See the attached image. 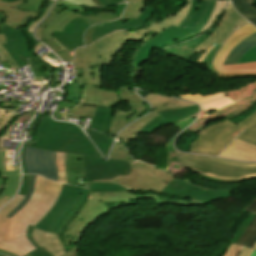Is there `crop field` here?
<instances>
[{
	"label": "crop field",
	"mask_w": 256,
	"mask_h": 256,
	"mask_svg": "<svg viewBox=\"0 0 256 256\" xmlns=\"http://www.w3.org/2000/svg\"><path fill=\"white\" fill-rule=\"evenodd\" d=\"M28 255L30 256H52L47 250H45L43 247L38 248L32 252H30Z\"/></svg>",
	"instance_id": "obj_51"
},
{
	"label": "crop field",
	"mask_w": 256,
	"mask_h": 256,
	"mask_svg": "<svg viewBox=\"0 0 256 256\" xmlns=\"http://www.w3.org/2000/svg\"><path fill=\"white\" fill-rule=\"evenodd\" d=\"M71 2H75L78 4H83V5H87V6H91V7H97L96 5H94L91 0H69Z\"/></svg>",
	"instance_id": "obj_54"
},
{
	"label": "crop field",
	"mask_w": 256,
	"mask_h": 256,
	"mask_svg": "<svg viewBox=\"0 0 256 256\" xmlns=\"http://www.w3.org/2000/svg\"><path fill=\"white\" fill-rule=\"evenodd\" d=\"M67 182L77 185L78 177H85L82 155L66 153Z\"/></svg>",
	"instance_id": "obj_26"
},
{
	"label": "crop field",
	"mask_w": 256,
	"mask_h": 256,
	"mask_svg": "<svg viewBox=\"0 0 256 256\" xmlns=\"http://www.w3.org/2000/svg\"><path fill=\"white\" fill-rule=\"evenodd\" d=\"M83 81L86 85L102 87L101 67L84 70Z\"/></svg>",
	"instance_id": "obj_35"
},
{
	"label": "crop field",
	"mask_w": 256,
	"mask_h": 256,
	"mask_svg": "<svg viewBox=\"0 0 256 256\" xmlns=\"http://www.w3.org/2000/svg\"><path fill=\"white\" fill-rule=\"evenodd\" d=\"M45 236L59 255L66 252L58 235L46 231Z\"/></svg>",
	"instance_id": "obj_41"
},
{
	"label": "crop field",
	"mask_w": 256,
	"mask_h": 256,
	"mask_svg": "<svg viewBox=\"0 0 256 256\" xmlns=\"http://www.w3.org/2000/svg\"><path fill=\"white\" fill-rule=\"evenodd\" d=\"M103 6L125 2L123 0H99Z\"/></svg>",
	"instance_id": "obj_55"
},
{
	"label": "crop field",
	"mask_w": 256,
	"mask_h": 256,
	"mask_svg": "<svg viewBox=\"0 0 256 256\" xmlns=\"http://www.w3.org/2000/svg\"><path fill=\"white\" fill-rule=\"evenodd\" d=\"M126 157H130L126 149L121 144H114L110 154V158L125 160L124 158Z\"/></svg>",
	"instance_id": "obj_42"
},
{
	"label": "crop field",
	"mask_w": 256,
	"mask_h": 256,
	"mask_svg": "<svg viewBox=\"0 0 256 256\" xmlns=\"http://www.w3.org/2000/svg\"><path fill=\"white\" fill-rule=\"evenodd\" d=\"M141 198L158 200V195L152 193L137 195L129 191L91 193L77 215L69 223L63 235L60 236L66 250L70 249L71 256H77L76 248L83 232L96 219L111 214V209L135 205V201Z\"/></svg>",
	"instance_id": "obj_4"
},
{
	"label": "crop field",
	"mask_w": 256,
	"mask_h": 256,
	"mask_svg": "<svg viewBox=\"0 0 256 256\" xmlns=\"http://www.w3.org/2000/svg\"><path fill=\"white\" fill-rule=\"evenodd\" d=\"M199 111L198 105L159 112L139 133H153L157 128L180 121Z\"/></svg>",
	"instance_id": "obj_21"
},
{
	"label": "crop field",
	"mask_w": 256,
	"mask_h": 256,
	"mask_svg": "<svg viewBox=\"0 0 256 256\" xmlns=\"http://www.w3.org/2000/svg\"><path fill=\"white\" fill-rule=\"evenodd\" d=\"M85 131L88 133V135L95 142L97 147L100 149V151L103 153L104 157L106 158L107 151L113 140L110 137H107L105 135H102L98 132H95L89 129H85Z\"/></svg>",
	"instance_id": "obj_34"
},
{
	"label": "crop field",
	"mask_w": 256,
	"mask_h": 256,
	"mask_svg": "<svg viewBox=\"0 0 256 256\" xmlns=\"http://www.w3.org/2000/svg\"><path fill=\"white\" fill-rule=\"evenodd\" d=\"M23 0L13 2V3H3L0 2V10L3 11L7 18L4 21L8 26L15 28L16 30H19L18 27L22 26L28 18L31 16H36L38 13L35 12H24L20 11L18 9L12 8L10 6L22 3Z\"/></svg>",
	"instance_id": "obj_25"
},
{
	"label": "crop field",
	"mask_w": 256,
	"mask_h": 256,
	"mask_svg": "<svg viewBox=\"0 0 256 256\" xmlns=\"http://www.w3.org/2000/svg\"><path fill=\"white\" fill-rule=\"evenodd\" d=\"M86 181L93 182L100 179H113L117 175H127L131 166L127 161L110 159L102 161L101 158L83 155Z\"/></svg>",
	"instance_id": "obj_11"
},
{
	"label": "crop field",
	"mask_w": 256,
	"mask_h": 256,
	"mask_svg": "<svg viewBox=\"0 0 256 256\" xmlns=\"http://www.w3.org/2000/svg\"><path fill=\"white\" fill-rule=\"evenodd\" d=\"M240 249H241V246L231 244V246L229 247V249L227 250L224 256H236V254Z\"/></svg>",
	"instance_id": "obj_52"
},
{
	"label": "crop field",
	"mask_w": 256,
	"mask_h": 256,
	"mask_svg": "<svg viewBox=\"0 0 256 256\" xmlns=\"http://www.w3.org/2000/svg\"><path fill=\"white\" fill-rule=\"evenodd\" d=\"M131 166L132 172L128 176H118L113 180H100V182H115L130 190L154 191L174 197L191 198V201H178L159 196L160 205H202L232 196L230 191L201 190V187L174 178L155 167L136 160Z\"/></svg>",
	"instance_id": "obj_2"
},
{
	"label": "crop field",
	"mask_w": 256,
	"mask_h": 256,
	"mask_svg": "<svg viewBox=\"0 0 256 256\" xmlns=\"http://www.w3.org/2000/svg\"><path fill=\"white\" fill-rule=\"evenodd\" d=\"M255 45L256 33L238 44L226 58L224 64H235L244 53L255 47Z\"/></svg>",
	"instance_id": "obj_30"
},
{
	"label": "crop field",
	"mask_w": 256,
	"mask_h": 256,
	"mask_svg": "<svg viewBox=\"0 0 256 256\" xmlns=\"http://www.w3.org/2000/svg\"><path fill=\"white\" fill-rule=\"evenodd\" d=\"M255 217L254 214H249V216L246 218V220L243 222V224L240 226V228L237 230L235 235L233 236L231 243H235L238 241V239L241 237L245 229L248 227L252 219Z\"/></svg>",
	"instance_id": "obj_45"
},
{
	"label": "crop field",
	"mask_w": 256,
	"mask_h": 256,
	"mask_svg": "<svg viewBox=\"0 0 256 256\" xmlns=\"http://www.w3.org/2000/svg\"><path fill=\"white\" fill-rule=\"evenodd\" d=\"M15 114L5 110L0 109V131L10 122V119L14 117Z\"/></svg>",
	"instance_id": "obj_46"
},
{
	"label": "crop field",
	"mask_w": 256,
	"mask_h": 256,
	"mask_svg": "<svg viewBox=\"0 0 256 256\" xmlns=\"http://www.w3.org/2000/svg\"><path fill=\"white\" fill-rule=\"evenodd\" d=\"M56 6L67 8V9L77 11V12H80L83 14L87 13V11L82 6L76 5L74 3H71V2H68L65 0H58L56 3Z\"/></svg>",
	"instance_id": "obj_44"
},
{
	"label": "crop field",
	"mask_w": 256,
	"mask_h": 256,
	"mask_svg": "<svg viewBox=\"0 0 256 256\" xmlns=\"http://www.w3.org/2000/svg\"><path fill=\"white\" fill-rule=\"evenodd\" d=\"M35 176H36V175H31V177H30V185H29V188H28V191H27V194H26V197L24 198V200H23L14 210H12V211L7 215V217L12 218V216H13L15 213H17V212L27 203V201H28L29 198L31 197L32 192H33V189H34Z\"/></svg>",
	"instance_id": "obj_40"
},
{
	"label": "crop field",
	"mask_w": 256,
	"mask_h": 256,
	"mask_svg": "<svg viewBox=\"0 0 256 256\" xmlns=\"http://www.w3.org/2000/svg\"><path fill=\"white\" fill-rule=\"evenodd\" d=\"M23 157L27 174H40L58 181L56 152L25 147Z\"/></svg>",
	"instance_id": "obj_15"
},
{
	"label": "crop field",
	"mask_w": 256,
	"mask_h": 256,
	"mask_svg": "<svg viewBox=\"0 0 256 256\" xmlns=\"http://www.w3.org/2000/svg\"><path fill=\"white\" fill-rule=\"evenodd\" d=\"M37 231H38V228L35 227L32 231V237L35 240V242L38 244V246L41 247L43 246V244L38 240Z\"/></svg>",
	"instance_id": "obj_56"
},
{
	"label": "crop field",
	"mask_w": 256,
	"mask_h": 256,
	"mask_svg": "<svg viewBox=\"0 0 256 256\" xmlns=\"http://www.w3.org/2000/svg\"><path fill=\"white\" fill-rule=\"evenodd\" d=\"M47 0H25L24 3L13 6L20 10L39 12L40 6Z\"/></svg>",
	"instance_id": "obj_39"
},
{
	"label": "crop field",
	"mask_w": 256,
	"mask_h": 256,
	"mask_svg": "<svg viewBox=\"0 0 256 256\" xmlns=\"http://www.w3.org/2000/svg\"><path fill=\"white\" fill-rule=\"evenodd\" d=\"M129 5L125 10L124 15L121 17V21L124 23L131 16L137 18V16L144 10L147 0H126ZM134 2V4H132Z\"/></svg>",
	"instance_id": "obj_33"
},
{
	"label": "crop field",
	"mask_w": 256,
	"mask_h": 256,
	"mask_svg": "<svg viewBox=\"0 0 256 256\" xmlns=\"http://www.w3.org/2000/svg\"><path fill=\"white\" fill-rule=\"evenodd\" d=\"M251 256H256V251H253Z\"/></svg>",
	"instance_id": "obj_68"
},
{
	"label": "crop field",
	"mask_w": 256,
	"mask_h": 256,
	"mask_svg": "<svg viewBox=\"0 0 256 256\" xmlns=\"http://www.w3.org/2000/svg\"><path fill=\"white\" fill-rule=\"evenodd\" d=\"M101 24H103V23H101ZM98 25H99V24H97V25H95V26H93V27L87 29V31H86V33H85V46H88V45L91 44V42H90L91 34H92L93 30L95 29V27L98 26Z\"/></svg>",
	"instance_id": "obj_53"
},
{
	"label": "crop field",
	"mask_w": 256,
	"mask_h": 256,
	"mask_svg": "<svg viewBox=\"0 0 256 256\" xmlns=\"http://www.w3.org/2000/svg\"><path fill=\"white\" fill-rule=\"evenodd\" d=\"M221 46L218 44H211L204 52L199 56L197 62H207L209 71L212 70V60L215 56V53Z\"/></svg>",
	"instance_id": "obj_37"
},
{
	"label": "crop field",
	"mask_w": 256,
	"mask_h": 256,
	"mask_svg": "<svg viewBox=\"0 0 256 256\" xmlns=\"http://www.w3.org/2000/svg\"><path fill=\"white\" fill-rule=\"evenodd\" d=\"M0 1H4V2H13V1H17V0H0Z\"/></svg>",
	"instance_id": "obj_67"
},
{
	"label": "crop field",
	"mask_w": 256,
	"mask_h": 256,
	"mask_svg": "<svg viewBox=\"0 0 256 256\" xmlns=\"http://www.w3.org/2000/svg\"><path fill=\"white\" fill-rule=\"evenodd\" d=\"M90 194L89 190L84 189L83 193L81 194L78 201L75 203L73 208L69 211V213L64 217V219L60 222L58 227L56 228L55 232L56 234H62L64 231V228L68 225V223L73 219V217L76 215L78 210L80 209L81 205L85 201V199Z\"/></svg>",
	"instance_id": "obj_32"
},
{
	"label": "crop field",
	"mask_w": 256,
	"mask_h": 256,
	"mask_svg": "<svg viewBox=\"0 0 256 256\" xmlns=\"http://www.w3.org/2000/svg\"><path fill=\"white\" fill-rule=\"evenodd\" d=\"M224 13L225 15L222 16L215 31L213 30L214 32L211 34V36L205 42L195 48V50L203 52L213 42L222 45L235 30V27L240 28L244 24L248 23L234 10L231 4H228Z\"/></svg>",
	"instance_id": "obj_18"
},
{
	"label": "crop field",
	"mask_w": 256,
	"mask_h": 256,
	"mask_svg": "<svg viewBox=\"0 0 256 256\" xmlns=\"http://www.w3.org/2000/svg\"><path fill=\"white\" fill-rule=\"evenodd\" d=\"M220 156L237 160L256 161V147L234 139Z\"/></svg>",
	"instance_id": "obj_24"
},
{
	"label": "crop field",
	"mask_w": 256,
	"mask_h": 256,
	"mask_svg": "<svg viewBox=\"0 0 256 256\" xmlns=\"http://www.w3.org/2000/svg\"><path fill=\"white\" fill-rule=\"evenodd\" d=\"M118 94L121 100H126L130 110L116 109L113 116V122L110 127L109 135L116 136V133L128 123L140 117L147 110L144 100L139 98L133 89L127 86L118 87Z\"/></svg>",
	"instance_id": "obj_13"
},
{
	"label": "crop field",
	"mask_w": 256,
	"mask_h": 256,
	"mask_svg": "<svg viewBox=\"0 0 256 256\" xmlns=\"http://www.w3.org/2000/svg\"><path fill=\"white\" fill-rule=\"evenodd\" d=\"M34 114L29 113L26 115H23L19 117L1 136H0V176L2 178H5L6 185L3 190V193L0 195V199L3 198L4 196H8L11 198L18 186V181H19V176H20V170H19V165L12 167V162L11 158H7L8 156V150L3 151L1 150V144L3 142V139L6 137L7 134L10 133V130L17 124L19 121L23 122L24 120L30 121V119L33 117ZM20 143L18 144L17 148V154H16V160L18 156V150ZM18 164V161H17Z\"/></svg>",
	"instance_id": "obj_14"
},
{
	"label": "crop field",
	"mask_w": 256,
	"mask_h": 256,
	"mask_svg": "<svg viewBox=\"0 0 256 256\" xmlns=\"http://www.w3.org/2000/svg\"><path fill=\"white\" fill-rule=\"evenodd\" d=\"M113 112L114 109L79 105L71 117L77 119H79V116L94 117L91 127L107 134L112 122Z\"/></svg>",
	"instance_id": "obj_20"
},
{
	"label": "crop field",
	"mask_w": 256,
	"mask_h": 256,
	"mask_svg": "<svg viewBox=\"0 0 256 256\" xmlns=\"http://www.w3.org/2000/svg\"><path fill=\"white\" fill-rule=\"evenodd\" d=\"M176 155L178 161L186 168L208 177L228 180L256 177V163L235 162L177 152Z\"/></svg>",
	"instance_id": "obj_6"
},
{
	"label": "crop field",
	"mask_w": 256,
	"mask_h": 256,
	"mask_svg": "<svg viewBox=\"0 0 256 256\" xmlns=\"http://www.w3.org/2000/svg\"><path fill=\"white\" fill-rule=\"evenodd\" d=\"M256 32V28L247 24L238 29L232 36H230L219 51L214 61V72L218 78L238 77V76H256V62L242 63L237 65H224L223 61L230 53V51L242 40L249 37Z\"/></svg>",
	"instance_id": "obj_8"
},
{
	"label": "crop field",
	"mask_w": 256,
	"mask_h": 256,
	"mask_svg": "<svg viewBox=\"0 0 256 256\" xmlns=\"http://www.w3.org/2000/svg\"><path fill=\"white\" fill-rule=\"evenodd\" d=\"M8 200H10L7 196L0 200V207H2Z\"/></svg>",
	"instance_id": "obj_60"
},
{
	"label": "crop field",
	"mask_w": 256,
	"mask_h": 256,
	"mask_svg": "<svg viewBox=\"0 0 256 256\" xmlns=\"http://www.w3.org/2000/svg\"><path fill=\"white\" fill-rule=\"evenodd\" d=\"M0 43H6L4 35H0ZM0 49H1L2 53H3V55L5 56V58H6L7 62H8V64H9L10 68L11 69H13L15 67L18 68L16 63L11 59V57L8 55V53L5 51V49L2 47L1 44H0Z\"/></svg>",
	"instance_id": "obj_47"
},
{
	"label": "crop field",
	"mask_w": 256,
	"mask_h": 256,
	"mask_svg": "<svg viewBox=\"0 0 256 256\" xmlns=\"http://www.w3.org/2000/svg\"><path fill=\"white\" fill-rule=\"evenodd\" d=\"M82 191L83 188L64 184L57 202L36 227L53 232L77 201Z\"/></svg>",
	"instance_id": "obj_12"
},
{
	"label": "crop field",
	"mask_w": 256,
	"mask_h": 256,
	"mask_svg": "<svg viewBox=\"0 0 256 256\" xmlns=\"http://www.w3.org/2000/svg\"><path fill=\"white\" fill-rule=\"evenodd\" d=\"M248 212L256 214V198L246 207ZM256 242V217L251 222L247 230L244 232L237 245L246 246L252 248Z\"/></svg>",
	"instance_id": "obj_29"
},
{
	"label": "crop field",
	"mask_w": 256,
	"mask_h": 256,
	"mask_svg": "<svg viewBox=\"0 0 256 256\" xmlns=\"http://www.w3.org/2000/svg\"><path fill=\"white\" fill-rule=\"evenodd\" d=\"M42 57H48V58L54 60L56 63H61L51 52Z\"/></svg>",
	"instance_id": "obj_59"
},
{
	"label": "crop field",
	"mask_w": 256,
	"mask_h": 256,
	"mask_svg": "<svg viewBox=\"0 0 256 256\" xmlns=\"http://www.w3.org/2000/svg\"><path fill=\"white\" fill-rule=\"evenodd\" d=\"M0 256H5V255H1V254H0Z\"/></svg>",
	"instance_id": "obj_70"
},
{
	"label": "crop field",
	"mask_w": 256,
	"mask_h": 256,
	"mask_svg": "<svg viewBox=\"0 0 256 256\" xmlns=\"http://www.w3.org/2000/svg\"><path fill=\"white\" fill-rule=\"evenodd\" d=\"M237 11L256 26V10L252 7V0H231ZM250 16V17H248Z\"/></svg>",
	"instance_id": "obj_31"
},
{
	"label": "crop field",
	"mask_w": 256,
	"mask_h": 256,
	"mask_svg": "<svg viewBox=\"0 0 256 256\" xmlns=\"http://www.w3.org/2000/svg\"><path fill=\"white\" fill-rule=\"evenodd\" d=\"M82 15L83 14L73 12L67 9L54 7L49 16L41 23V25L36 30L37 37L45 42L47 45H49L64 61L71 62V65L73 58L70 57L67 49H65L53 39L51 30L62 31L64 25L67 22L75 17H79Z\"/></svg>",
	"instance_id": "obj_10"
},
{
	"label": "crop field",
	"mask_w": 256,
	"mask_h": 256,
	"mask_svg": "<svg viewBox=\"0 0 256 256\" xmlns=\"http://www.w3.org/2000/svg\"><path fill=\"white\" fill-rule=\"evenodd\" d=\"M90 190L92 192H107V191H125L128 189L114 183L95 182V183H92Z\"/></svg>",
	"instance_id": "obj_36"
},
{
	"label": "crop field",
	"mask_w": 256,
	"mask_h": 256,
	"mask_svg": "<svg viewBox=\"0 0 256 256\" xmlns=\"http://www.w3.org/2000/svg\"><path fill=\"white\" fill-rule=\"evenodd\" d=\"M120 102L117 92L84 85L80 104L112 107Z\"/></svg>",
	"instance_id": "obj_22"
},
{
	"label": "crop field",
	"mask_w": 256,
	"mask_h": 256,
	"mask_svg": "<svg viewBox=\"0 0 256 256\" xmlns=\"http://www.w3.org/2000/svg\"><path fill=\"white\" fill-rule=\"evenodd\" d=\"M33 229V226H28V230H27V237L29 239V241L31 242V244L33 246H35L36 248H38V246L36 245V243L33 241L32 237H31V230Z\"/></svg>",
	"instance_id": "obj_57"
},
{
	"label": "crop field",
	"mask_w": 256,
	"mask_h": 256,
	"mask_svg": "<svg viewBox=\"0 0 256 256\" xmlns=\"http://www.w3.org/2000/svg\"><path fill=\"white\" fill-rule=\"evenodd\" d=\"M229 1L189 0L180 11L136 31H118L99 40L97 67L113 64L112 57L120 53L131 40L142 44L129 70L133 81L137 67L145 63L153 49H159L199 36L213 27ZM187 26V28H184Z\"/></svg>",
	"instance_id": "obj_1"
},
{
	"label": "crop field",
	"mask_w": 256,
	"mask_h": 256,
	"mask_svg": "<svg viewBox=\"0 0 256 256\" xmlns=\"http://www.w3.org/2000/svg\"><path fill=\"white\" fill-rule=\"evenodd\" d=\"M6 138H8V139H13V137L11 136V134L7 135V137H6ZM2 145H3V144H2ZM2 149L6 150V149H8V148H6V147H2Z\"/></svg>",
	"instance_id": "obj_63"
},
{
	"label": "crop field",
	"mask_w": 256,
	"mask_h": 256,
	"mask_svg": "<svg viewBox=\"0 0 256 256\" xmlns=\"http://www.w3.org/2000/svg\"><path fill=\"white\" fill-rule=\"evenodd\" d=\"M97 42L87 48H78L76 50L75 63H74L76 70L96 67L95 51H96Z\"/></svg>",
	"instance_id": "obj_27"
},
{
	"label": "crop field",
	"mask_w": 256,
	"mask_h": 256,
	"mask_svg": "<svg viewBox=\"0 0 256 256\" xmlns=\"http://www.w3.org/2000/svg\"><path fill=\"white\" fill-rule=\"evenodd\" d=\"M0 249L6 250L18 256H24L36 248L30 244V242L27 240V237L25 236L0 244Z\"/></svg>",
	"instance_id": "obj_28"
},
{
	"label": "crop field",
	"mask_w": 256,
	"mask_h": 256,
	"mask_svg": "<svg viewBox=\"0 0 256 256\" xmlns=\"http://www.w3.org/2000/svg\"><path fill=\"white\" fill-rule=\"evenodd\" d=\"M0 34H5L7 44L2 45L19 67L32 65L29 59L35 56L30 50L28 40L19 31L3 24Z\"/></svg>",
	"instance_id": "obj_17"
},
{
	"label": "crop field",
	"mask_w": 256,
	"mask_h": 256,
	"mask_svg": "<svg viewBox=\"0 0 256 256\" xmlns=\"http://www.w3.org/2000/svg\"><path fill=\"white\" fill-rule=\"evenodd\" d=\"M35 148L86 154L100 157L92 143L80 129L69 123H57L46 117L36 128Z\"/></svg>",
	"instance_id": "obj_5"
},
{
	"label": "crop field",
	"mask_w": 256,
	"mask_h": 256,
	"mask_svg": "<svg viewBox=\"0 0 256 256\" xmlns=\"http://www.w3.org/2000/svg\"><path fill=\"white\" fill-rule=\"evenodd\" d=\"M256 119V112L237 125L224 121L203 130L193 142L189 152L218 156L225 146Z\"/></svg>",
	"instance_id": "obj_7"
},
{
	"label": "crop field",
	"mask_w": 256,
	"mask_h": 256,
	"mask_svg": "<svg viewBox=\"0 0 256 256\" xmlns=\"http://www.w3.org/2000/svg\"><path fill=\"white\" fill-rule=\"evenodd\" d=\"M93 3H95L98 7H101L102 5L98 2V0H92Z\"/></svg>",
	"instance_id": "obj_64"
},
{
	"label": "crop field",
	"mask_w": 256,
	"mask_h": 256,
	"mask_svg": "<svg viewBox=\"0 0 256 256\" xmlns=\"http://www.w3.org/2000/svg\"><path fill=\"white\" fill-rule=\"evenodd\" d=\"M153 106V111L151 114L147 115L146 117L136 121L126 129H124L119 137L120 139L126 144L130 140L135 141V138L137 136V133L140 131V129L153 117L158 115L157 112L164 110V109H174V108H180L184 106H190L194 105V103L184 102L178 99L174 98H168V97H161L157 95L150 94L145 97Z\"/></svg>",
	"instance_id": "obj_16"
},
{
	"label": "crop field",
	"mask_w": 256,
	"mask_h": 256,
	"mask_svg": "<svg viewBox=\"0 0 256 256\" xmlns=\"http://www.w3.org/2000/svg\"><path fill=\"white\" fill-rule=\"evenodd\" d=\"M179 97L188 99L191 101L198 102L202 108V111L208 113L210 111H218L227 105L233 103L225 93L219 94H188V95H179Z\"/></svg>",
	"instance_id": "obj_23"
},
{
	"label": "crop field",
	"mask_w": 256,
	"mask_h": 256,
	"mask_svg": "<svg viewBox=\"0 0 256 256\" xmlns=\"http://www.w3.org/2000/svg\"><path fill=\"white\" fill-rule=\"evenodd\" d=\"M252 251H253L252 249L243 247L238 256H250Z\"/></svg>",
	"instance_id": "obj_58"
},
{
	"label": "crop field",
	"mask_w": 256,
	"mask_h": 256,
	"mask_svg": "<svg viewBox=\"0 0 256 256\" xmlns=\"http://www.w3.org/2000/svg\"><path fill=\"white\" fill-rule=\"evenodd\" d=\"M3 184H4L3 179H0V191H1L2 187H3Z\"/></svg>",
	"instance_id": "obj_65"
},
{
	"label": "crop field",
	"mask_w": 256,
	"mask_h": 256,
	"mask_svg": "<svg viewBox=\"0 0 256 256\" xmlns=\"http://www.w3.org/2000/svg\"><path fill=\"white\" fill-rule=\"evenodd\" d=\"M26 256H27V255H26ZM60 256H70L69 251H67L66 253H64V254H62V255H60Z\"/></svg>",
	"instance_id": "obj_66"
},
{
	"label": "crop field",
	"mask_w": 256,
	"mask_h": 256,
	"mask_svg": "<svg viewBox=\"0 0 256 256\" xmlns=\"http://www.w3.org/2000/svg\"><path fill=\"white\" fill-rule=\"evenodd\" d=\"M5 17H6V15L4 13L0 12V26L3 23V21L5 20Z\"/></svg>",
	"instance_id": "obj_61"
},
{
	"label": "crop field",
	"mask_w": 256,
	"mask_h": 256,
	"mask_svg": "<svg viewBox=\"0 0 256 256\" xmlns=\"http://www.w3.org/2000/svg\"><path fill=\"white\" fill-rule=\"evenodd\" d=\"M0 253H2V254H6V255H9V256H16V255H13V254L8 253V252L3 251V250H0Z\"/></svg>",
	"instance_id": "obj_62"
},
{
	"label": "crop field",
	"mask_w": 256,
	"mask_h": 256,
	"mask_svg": "<svg viewBox=\"0 0 256 256\" xmlns=\"http://www.w3.org/2000/svg\"><path fill=\"white\" fill-rule=\"evenodd\" d=\"M155 7L147 6L145 10L139 15L138 19L130 18L124 24L118 21L107 22L101 26L96 27L92 34L91 42H95L98 38L120 29H136L138 27L145 26L146 22L150 19Z\"/></svg>",
	"instance_id": "obj_19"
},
{
	"label": "crop field",
	"mask_w": 256,
	"mask_h": 256,
	"mask_svg": "<svg viewBox=\"0 0 256 256\" xmlns=\"http://www.w3.org/2000/svg\"><path fill=\"white\" fill-rule=\"evenodd\" d=\"M253 249H256V244L253 246Z\"/></svg>",
	"instance_id": "obj_69"
},
{
	"label": "crop field",
	"mask_w": 256,
	"mask_h": 256,
	"mask_svg": "<svg viewBox=\"0 0 256 256\" xmlns=\"http://www.w3.org/2000/svg\"><path fill=\"white\" fill-rule=\"evenodd\" d=\"M127 4L119 5L116 15L105 12L98 14L86 15L70 21L63 29V32L52 31L54 39L57 40L65 48L73 49L84 45L83 34L86 29L98 22L114 20L120 17Z\"/></svg>",
	"instance_id": "obj_9"
},
{
	"label": "crop field",
	"mask_w": 256,
	"mask_h": 256,
	"mask_svg": "<svg viewBox=\"0 0 256 256\" xmlns=\"http://www.w3.org/2000/svg\"><path fill=\"white\" fill-rule=\"evenodd\" d=\"M44 232L45 231L41 229L38 231L39 239L45 245L44 248H46L52 255L59 256L44 237Z\"/></svg>",
	"instance_id": "obj_48"
},
{
	"label": "crop field",
	"mask_w": 256,
	"mask_h": 256,
	"mask_svg": "<svg viewBox=\"0 0 256 256\" xmlns=\"http://www.w3.org/2000/svg\"><path fill=\"white\" fill-rule=\"evenodd\" d=\"M29 176L30 175H23L21 188H20V192H19L20 195L25 196V194H26V191H27V188H28V185H29Z\"/></svg>",
	"instance_id": "obj_50"
},
{
	"label": "crop field",
	"mask_w": 256,
	"mask_h": 256,
	"mask_svg": "<svg viewBox=\"0 0 256 256\" xmlns=\"http://www.w3.org/2000/svg\"><path fill=\"white\" fill-rule=\"evenodd\" d=\"M62 185L37 175L31 199L12 219L5 216L22 201L23 196L17 195L0 211V243L26 235L28 224L35 226L54 205Z\"/></svg>",
	"instance_id": "obj_3"
},
{
	"label": "crop field",
	"mask_w": 256,
	"mask_h": 256,
	"mask_svg": "<svg viewBox=\"0 0 256 256\" xmlns=\"http://www.w3.org/2000/svg\"><path fill=\"white\" fill-rule=\"evenodd\" d=\"M256 61V47L244 54L237 63Z\"/></svg>",
	"instance_id": "obj_49"
},
{
	"label": "crop field",
	"mask_w": 256,
	"mask_h": 256,
	"mask_svg": "<svg viewBox=\"0 0 256 256\" xmlns=\"http://www.w3.org/2000/svg\"><path fill=\"white\" fill-rule=\"evenodd\" d=\"M236 139L256 146V120L249 125Z\"/></svg>",
	"instance_id": "obj_38"
},
{
	"label": "crop field",
	"mask_w": 256,
	"mask_h": 256,
	"mask_svg": "<svg viewBox=\"0 0 256 256\" xmlns=\"http://www.w3.org/2000/svg\"><path fill=\"white\" fill-rule=\"evenodd\" d=\"M64 157L65 153H58L57 152V165H58V174H59V181L66 182V171L64 165Z\"/></svg>",
	"instance_id": "obj_43"
}]
</instances>
